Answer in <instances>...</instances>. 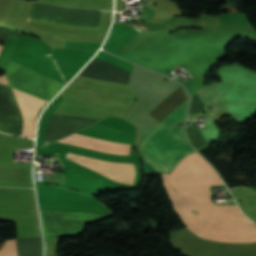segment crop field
Instances as JSON below:
<instances>
[{"label":"crop field","mask_w":256,"mask_h":256,"mask_svg":"<svg viewBox=\"0 0 256 256\" xmlns=\"http://www.w3.org/2000/svg\"><path fill=\"white\" fill-rule=\"evenodd\" d=\"M178 215L196 235L214 241H256V225L237 205H215L209 185L223 184L218 174L197 153L183 158L170 174H161Z\"/></svg>","instance_id":"8a807250"},{"label":"crop field","mask_w":256,"mask_h":256,"mask_svg":"<svg viewBox=\"0 0 256 256\" xmlns=\"http://www.w3.org/2000/svg\"><path fill=\"white\" fill-rule=\"evenodd\" d=\"M187 103L186 100L147 134L138 149L157 171L170 172L180 158L194 151L176 130L185 122Z\"/></svg>","instance_id":"ac0d7876"},{"label":"crop field","mask_w":256,"mask_h":256,"mask_svg":"<svg viewBox=\"0 0 256 256\" xmlns=\"http://www.w3.org/2000/svg\"><path fill=\"white\" fill-rule=\"evenodd\" d=\"M58 142L83 148L94 149L115 154L129 155L133 145L105 141L74 134ZM67 158L109 178L112 181L134 184L136 169L134 164L111 163L94 158L67 153Z\"/></svg>","instance_id":"34b2d1b8"},{"label":"crop field","mask_w":256,"mask_h":256,"mask_svg":"<svg viewBox=\"0 0 256 256\" xmlns=\"http://www.w3.org/2000/svg\"><path fill=\"white\" fill-rule=\"evenodd\" d=\"M100 11L74 10L35 3L29 18L62 25L97 27Z\"/></svg>","instance_id":"412701ff"},{"label":"crop field","mask_w":256,"mask_h":256,"mask_svg":"<svg viewBox=\"0 0 256 256\" xmlns=\"http://www.w3.org/2000/svg\"><path fill=\"white\" fill-rule=\"evenodd\" d=\"M12 89L15 93L24 118L23 136L34 137L37 111L46 102V100L13 87Z\"/></svg>","instance_id":"f4fd0767"},{"label":"crop field","mask_w":256,"mask_h":256,"mask_svg":"<svg viewBox=\"0 0 256 256\" xmlns=\"http://www.w3.org/2000/svg\"><path fill=\"white\" fill-rule=\"evenodd\" d=\"M186 99L180 87L148 114L160 122Z\"/></svg>","instance_id":"dd49c442"},{"label":"crop field","mask_w":256,"mask_h":256,"mask_svg":"<svg viewBox=\"0 0 256 256\" xmlns=\"http://www.w3.org/2000/svg\"><path fill=\"white\" fill-rule=\"evenodd\" d=\"M0 256H17L15 240H8L0 249Z\"/></svg>","instance_id":"e52e79f7"},{"label":"crop field","mask_w":256,"mask_h":256,"mask_svg":"<svg viewBox=\"0 0 256 256\" xmlns=\"http://www.w3.org/2000/svg\"><path fill=\"white\" fill-rule=\"evenodd\" d=\"M2 46L0 45V50H1Z\"/></svg>","instance_id":"d8731c3e"},{"label":"crop field","mask_w":256,"mask_h":256,"mask_svg":"<svg viewBox=\"0 0 256 256\" xmlns=\"http://www.w3.org/2000/svg\"><path fill=\"white\" fill-rule=\"evenodd\" d=\"M139 27H141V26H139ZM141 28H143V27H141ZM143 29H145V28H143Z\"/></svg>","instance_id":"5a996713"},{"label":"crop field","mask_w":256,"mask_h":256,"mask_svg":"<svg viewBox=\"0 0 256 256\" xmlns=\"http://www.w3.org/2000/svg\"><path fill=\"white\" fill-rule=\"evenodd\" d=\"M145 1H147V0H145ZM149 2V1H148ZM151 3V2H150ZM154 4V3H153ZM157 5V4H156Z\"/></svg>","instance_id":"3316defc"}]
</instances>
